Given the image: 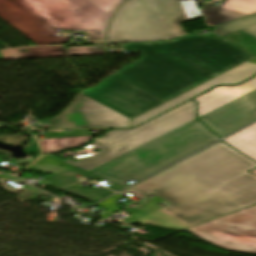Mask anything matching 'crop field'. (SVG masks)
Wrapping results in <instances>:
<instances>
[{
    "mask_svg": "<svg viewBox=\"0 0 256 256\" xmlns=\"http://www.w3.org/2000/svg\"><path fill=\"white\" fill-rule=\"evenodd\" d=\"M256 162L220 141L121 192L149 199L121 222L180 230L256 203Z\"/></svg>",
    "mask_w": 256,
    "mask_h": 256,
    "instance_id": "crop-field-1",
    "label": "crop field"
},
{
    "mask_svg": "<svg viewBox=\"0 0 256 256\" xmlns=\"http://www.w3.org/2000/svg\"><path fill=\"white\" fill-rule=\"evenodd\" d=\"M251 58L219 36L173 51L141 52L138 62L116 73L166 101Z\"/></svg>",
    "mask_w": 256,
    "mask_h": 256,
    "instance_id": "crop-field-2",
    "label": "crop field"
},
{
    "mask_svg": "<svg viewBox=\"0 0 256 256\" xmlns=\"http://www.w3.org/2000/svg\"><path fill=\"white\" fill-rule=\"evenodd\" d=\"M218 139L195 119L91 172L126 186Z\"/></svg>",
    "mask_w": 256,
    "mask_h": 256,
    "instance_id": "crop-field-3",
    "label": "crop field"
},
{
    "mask_svg": "<svg viewBox=\"0 0 256 256\" xmlns=\"http://www.w3.org/2000/svg\"><path fill=\"white\" fill-rule=\"evenodd\" d=\"M201 18L195 0H130L98 44L168 40L184 35L180 23Z\"/></svg>",
    "mask_w": 256,
    "mask_h": 256,
    "instance_id": "crop-field-4",
    "label": "crop field"
},
{
    "mask_svg": "<svg viewBox=\"0 0 256 256\" xmlns=\"http://www.w3.org/2000/svg\"><path fill=\"white\" fill-rule=\"evenodd\" d=\"M36 18V27L52 34L50 44H65L69 37L56 29L83 31L89 42L103 37L115 9L125 0H6ZM102 39V38H101Z\"/></svg>",
    "mask_w": 256,
    "mask_h": 256,
    "instance_id": "crop-field-5",
    "label": "crop field"
},
{
    "mask_svg": "<svg viewBox=\"0 0 256 256\" xmlns=\"http://www.w3.org/2000/svg\"><path fill=\"white\" fill-rule=\"evenodd\" d=\"M196 102L189 101L132 130H115L96 138L95 143L102 151L93 157L74 162L65 161L90 171L115 157L134 149L195 118Z\"/></svg>",
    "mask_w": 256,
    "mask_h": 256,
    "instance_id": "crop-field-6",
    "label": "crop field"
},
{
    "mask_svg": "<svg viewBox=\"0 0 256 256\" xmlns=\"http://www.w3.org/2000/svg\"><path fill=\"white\" fill-rule=\"evenodd\" d=\"M186 231L223 249L256 254V205Z\"/></svg>",
    "mask_w": 256,
    "mask_h": 256,
    "instance_id": "crop-field-7",
    "label": "crop field"
},
{
    "mask_svg": "<svg viewBox=\"0 0 256 256\" xmlns=\"http://www.w3.org/2000/svg\"><path fill=\"white\" fill-rule=\"evenodd\" d=\"M81 93L130 118L165 102L115 73Z\"/></svg>",
    "mask_w": 256,
    "mask_h": 256,
    "instance_id": "crop-field-8",
    "label": "crop field"
},
{
    "mask_svg": "<svg viewBox=\"0 0 256 256\" xmlns=\"http://www.w3.org/2000/svg\"><path fill=\"white\" fill-rule=\"evenodd\" d=\"M49 123L55 124L52 129L128 127L130 118L80 93L57 119Z\"/></svg>",
    "mask_w": 256,
    "mask_h": 256,
    "instance_id": "crop-field-9",
    "label": "crop field"
},
{
    "mask_svg": "<svg viewBox=\"0 0 256 256\" xmlns=\"http://www.w3.org/2000/svg\"><path fill=\"white\" fill-rule=\"evenodd\" d=\"M211 130L224 137L256 120V90L202 117Z\"/></svg>",
    "mask_w": 256,
    "mask_h": 256,
    "instance_id": "crop-field-10",
    "label": "crop field"
},
{
    "mask_svg": "<svg viewBox=\"0 0 256 256\" xmlns=\"http://www.w3.org/2000/svg\"><path fill=\"white\" fill-rule=\"evenodd\" d=\"M256 73V64L246 62L192 90L189 92L133 119L132 126L137 125L217 84H238Z\"/></svg>",
    "mask_w": 256,
    "mask_h": 256,
    "instance_id": "crop-field-11",
    "label": "crop field"
},
{
    "mask_svg": "<svg viewBox=\"0 0 256 256\" xmlns=\"http://www.w3.org/2000/svg\"><path fill=\"white\" fill-rule=\"evenodd\" d=\"M255 24H256V15L216 26L215 32L209 33L207 35H189V36H186L177 40L169 41V42L130 44V45H124V46H125V49L131 52L173 50L176 48H180V47L193 44L199 41H203L219 35H222V36L227 35V34L239 31V29L241 28H245Z\"/></svg>",
    "mask_w": 256,
    "mask_h": 256,
    "instance_id": "crop-field-12",
    "label": "crop field"
},
{
    "mask_svg": "<svg viewBox=\"0 0 256 256\" xmlns=\"http://www.w3.org/2000/svg\"><path fill=\"white\" fill-rule=\"evenodd\" d=\"M256 89V77L239 86H221L194 100L199 102L198 116H202L252 90Z\"/></svg>",
    "mask_w": 256,
    "mask_h": 256,
    "instance_id": "crop-field-13",
    "label": "crop field"
},
{
    "mask_svg": "<svg viewBox=\"0 0 256 256\" xmlns=\"http://www.w3.org/2000/svg\"><path fill=\"white\" fill-rule=\"evenodd\" d=\"M206 22L217 25L256 13V0H224L218 7L203 4Z\"/></svg>",
    "mask_w": 256,
    "mask_h": 256,
    "instance_id": "crop-field-14",
    "label": "crop field"
},
{
    "mask_svg": "<svg viewBox=\"0 0 256 256\" xmlns=\"http://www.w3.org/2000/svg\"><path fill=\"white\" fill-rule=\"evenodd\" d=\"M6 1V0H5ZM0 0V16L38 45L48 44L52 35L41 33L34 27L36 19Z\"/></svg>",
    "mask_w": 256,
    "mask_h": 256,
    "instance_id": "crop-field-15",
    "label": "crop field"
},
{
    "mask_svg": "<svg viewBox=\"0 0 256 256\" xmlns=\"http://www.w3.org/2000/svg\"><path fill=\"white\" fill-rule=\"evenodd\" d=\"M88 129L71 130L61 132L60 130L48 131L47 140H39L44 152L54 153L68 147H78L89 139Z\"/></svg>",
    "mask_w": 256,
    "mask_h": 256,
    "instance_id": "crop-field-16",
    "label": "crop field"
},
{
    "mask_svg": "<svg viewBox=\"0 0 256 256\" xmlns=\"http://www.w3.org/2000/svg\"><path fill=\"white\" fill-rule=\"evenodd\" d=\"M224 140L228 144L256 160V124Z\"/></svg>",
    "mask_w": 256,
    "mask_h": 256,
    "instance_id": "crop-field-17",
    "label": "crop field"
},
{
    "mask_svg": "<svg viewBox=\"0 0 256 256\" xmlns=\"http://www.w3.org/2000/svg\"><path fill=\"white\" fill-rule=\"evenodd\" d=\"M78 174L86 176V177H91V178L105 179L103 177L95 175V174H93L91 172H87V171L82 170L80 168H77V169H74V170H70V171H67V172H63V173H59V174H55V175H52L50 177H47L46 179H48L50 182L53 183L50 187L58 189V188L65 187V186H67V185H69V184L79 180V179L75 178ZM71 175H73V176L69 177ZM113 183L115 185L110 187L111 190L118 191V190L124 188V186H122V185H119V184H117L115 182H113Z\"/></svg>",
    "mask_w": 256,
    "mask_h": 256,
    "instance_id": "crop-field-18",
    "label": "crop field"
},
{
    "mask_svg": "<svg viewBox=\"0 0 256 256\" xmlns=\"http://www.w3.org/2000/svg\"><path fill=\"white\" fill-rule=\"evenodd\" d=\"M2 54L5 60L68 56L65 48L47 50H27L26 52H20L19 50L16 51L15 49H12L9 51L2 52Z\"/></svg>",
    "mask_w": 256,
    "mask_h": 256,
    "instance_id": "crop-field-19",
    "label": "crop field"
},
{
    "mask_svg": "<svg viewBox=\"0 0 256 256\" xmlns=\"http://www.w3.org/2000/svg\"><path fill=\"white\" fill-rule=\"evenodd\" d=\"M64 192L70 193L72 195L78 196L80 198H83L85 200L91 201L93 203L103 199L104 197L114 193L108 189L105 190H99L95 187L92 188H88V187H84V188H80L76 185H73L71 187L68 188H64V189H60Z\"/></svg>",
    "mask_w": 256,
    "mask_h": 256,
    "instance_id": "crop-field-20",
    "label": "crop field"
},
{
    "mask_svg": "<svg viewBox=\"0 0 256 256\" xmlns=\"http://www.w3.org/2000/svg\"><path fill=\"white\" fill-rule=\"evenodd\" d=\"M42 159H44V161L39 160L36 164H34L33 166H31L28 169L35 170V171H38L41 173L50 172L52 174H55V173L67 171V170H70L73 168H77L72 165H69L64 162L57 161L54 159H50V158H46V157H43ZM60 165H62L64 167L61 168V167H59Z\"/></svg>",
    "mask_w": 256,
    "mask_h": 256,
    "instance_id": "crop-field-21",
    "label": "crop field"
},
{
    "mask_svg": "<svg viewBox=\"0 0 256 256\" xmlns=\"http://www.w3.org/2000/svg\"><path fill=\"white\" fill-rule=\"evenodd\" d=\"M122 195L119 194H115L109 198H107L106 200L98 203L97 205H100L106 209H108L107 211H105L103 214H101L99 217L103 218V219H107L108 217H110L112 214L116 213L117 211H119L120 209L124 208L116 203H114L113 201L118 199L119 197H121Z\"/></svg>",
    "mask_w": 256,
    "mask_h": 256,
    "instance_id": "crop-field-22",
    "label": "crop field"
},
{
    "mask_svg": "<svg viewBox=\"0 0 256 256\" xmlns=\"http://www.w3.org/2000/svg\"><path fill=\"white\" fill-rule=\"evenodd\" d=\"M69 55L105 54V50L98 46L67 48Z\"/></svg>",
    "mask_w": 256,
    "mask_h": 256,
    "instance_id": "crop-field-23",
    "label": "crop field"
},
{
    "mask_svg": "<svg viewBox=\"0 0 256 256\" xmlns=\"http://www.w3.org/2000/svg\"><path fill=\"white\" fill-rule=\"evenodd\" d=\"M26 149H28L29 151L31 152H37V153H40L39 152V149L37 147V144H36V141L34 139V137L32 138V140L28 143L27 146H25Z\"/></svg>",
    "mask_w": 256,
    "mask_h": 256,
    "instance_id": "crop-field-24",
    "label": "crop field"
},
{
    "mask_svg": "<svg viewBox=\"0 0 256 256\" xmlns=\"http://www.w3.org/2000/svg\"><path fill=\"white\" fill-rule=\"evenodd\" d=\"M241 31L253 36L256 38V25L255 26H251L245 29H241Z\"/></svg>",
    "mask_w": 256,
    "mask_h": 256,
    "instance_id": "crop-field-25",
    "label": "crop field"
},
{
    "mask_svg": "<svg viewBox=\"0 0 256 256\" xmlns=\"http://www.w3.org/2000/svg\"><path fill=\"white\" fill-rule=\"evenodd\" d=\"M59 47H61V46H55V47H31V48H22V49H47V48H59Z\"/></svg>",
    "mask_w": 256,
    "mask_h": 256,
    "instance_id": "crop-field-26",
    "label": "crop field"
},
{
    "mask_svg": "<svg viewBox=\"0 0 256 256\" xmlns=\"http://www.w3.org/2000/svg\"><path fill=\"white\" fill-rule=\"evenodd\" d=\"M249 62H253V63H256V58L250 60Z\"/></svg>",
    "mask_w": 256,
    "mask_h": 256,
    "instance_id": "crop-field-27",
    "label": "crop field"
},
{
    "mask_svg": "<svg viewBox=\"0 0 256 256\" xmlns=\"http://www.w3.org/2000/svg\"><path fill=\"white\" fill-rule=\"evenodd\" d=\"M250 173H252V174L256 175V170H254V171H252V172H250Z\"/></svg>",
    "mask_w": 256,
    "mask_h": 256,
    "instance_id": "crop-field-28",
    "label": "crop field"
}]
</instances>
